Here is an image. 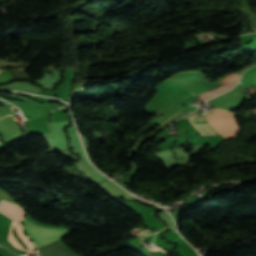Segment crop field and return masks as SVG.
Returning a JSON list of instances; mask_svg holds the SVG:
<instances>
[{"instance_id": "ac0d7876", "label": "crop field", "mask_w": 256, "mask_h": 256, "mask_svg": "<svg viewBox=\"0 0 256 256\" xmlns=\"http://www.w3.org/2000/svg\"><path fill=\"white\" fill-rule=\"evenodd\" d=\"M199 118L198 114L188 117V120L195 126L196 129L204 136V138L212 145L216 146L223 138L205 119L204 115Z\"/></svg>"}, {"instance_id": "412701ff", "label": "crop field", "mask_w": 256, "mask_h": 256, "mask_svg": "<svg viewBox=\"0 0 256 256\" xmlns=\"http://www.w3.org/2000/svg\"><path fill=\"white\" fill-rule=\"evenodd\" d=\"M241 82L248 86L254 85L256 88V68L252 67L248 71L244 72Z\"/></svg>"}, {"instance_id": "34b2d1b8", "label": "crop field", "mask_w": 256, "mask_h": 256, "mask_svg": "<svg viewBox=\"0 0 256 256\" xmlns=\"http://www.w3.org/2000/svg\"><path fill=\"white\" fill-rule=\"evenodd\" d=\"M0 211L19 224H21L25 214L19 206L4 200L0 202Z\"/></svg>"}, {"instance_id": "8a807250", "label": "crop field", "mask_w": 256, "mask_h": 256, "mask_svg": "<svg viewBox=\"0 0 256 256\" xmlns=\"http://www.w3.org/2000/svg\"><path fill=\"white\" fill-rule=\"evenodd\" d=\"M23 229L34 241L37 248L59 239L70 232L68 229H56L40 226L26 219L23 222Z\"/></svg>"}]
</instances>
